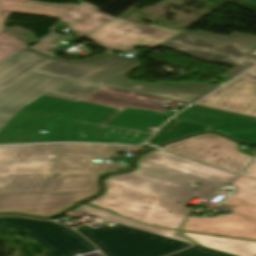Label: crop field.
Returning <instances> with one entry per match:
<instances>
[{
	"instance_id": "8a807250",
	"label": "crop field",
	"mask_w": 256,
	"mask_h": 256,
	"mask_svg": "<svg viewBox=\"0 0 256 256\" xmlns=\"http://www.w3.org/2000/svg\"><path fill=\"white\" fill-rule=\"evenodd\" d=\"M65 115L20 109L0 131V144L77 141L140 144L173 114L165 99L105 86ZM48 130L47 134L39 133Z\"/></svg>"
},
{
	"instance_id": "ac0d7876",
	"label": "crop field",
	"mask_w": 256,
	"mask_h": 256,
	"mask_svg": "<svg viewBox=\"0 0 256 256\" xmlns=\"http://www.w3.org/2000/svg\"><path fill=\"white\" fill-rule=\"evenodd\" d=\"M234 177L157 150L141 157L134 172L107 178V192L90 204L143 223L178 229L191 209L186 208L188 201L195 197L205 199ZM195 182L202 186L195 185Z\"/></svg>"
},
{
	"instance_id": "34b2d1b8",
	"label": "crop field",
	"mask_w": 256,
	"mask_h": 256,
	"mask_svg": "<svg viewBox=\"0 0 256 256\" xmlns=\"http://www.w3.org/2000/svg\"><path fill=\"white\" fill-rule=\"evenodd\" d=\"M137 66V61L113 52L65 61L26 47L0 64V130L43 94L78 102L118 71Z\"/></svg>"
},
{
	"instance_id": "412701ff",
	"label": "crop field",
	"mask_w": 256,
	"mask_h": 256,
	"mask_svg": "<svg viewBox=\"0 0 256 256\" xmlns=\"http://www.w3.org/2000/svg\"><path fill=\"white\" fill-rule=\"evenodd\" d=\"M65 146H0V193L48 191Z\"/></svg>"
},
{
	"instance_id": "f4fd0767",
	"label": "crop field",
	"mask_w": 256,
	"mask_h": 256,
	"mask_svg": "<svg viewBox=\"0 0 256 256\" xmlns=\"http://www.w3.org/2000/svg\"><path fill=\"white\" fill-rule=\"evenodd\" d=\"M98 176L61 174L49 192L0 194V212L55 215L84 197L97 194Z\"/></svg>"
},
{
	"instance_id": "dd49c442",
	"label": "crop field",
	"mask_w": 256,
	"mask_h": 256,
	"mask_svg": "<svg viewBox=\"0 0 256 256\" xmlns=\"http://www.w3.org/2000/svg\"><path fill=\"white\" fill-rule=\"evenodd\" d=\"M163 46L205 62L236 66L222 75V78H233L256 64V58L247 56L256 50V36L251 35L232 33L229 37H223L202 32H184Z\"/></svg>"
},
{
	"instance_id": "e52e79f7",
	"label": "crop field",
	"mask_w": 256,
	"mask_h": 256,
	"mask_svg": "<svg viewBox=\"0 0 256 256\" xmlns=\"http://www.w3.org/2000/svg\"><path fill=\"white\" fill-rule=\"evenodd\" d=\"M107 256H163L190 244L123 225L109 228H76Z\"/></svg>"
},
{
	"instance_id": "d8731c3e",
	"label": "crop field",
	"mask_w": 256,
	"mask_h": 256,
	"mask_svg": "<svg viewBox=\"0 0 256 256\" xmlns=\"http://www.w3.org/2000/svg\"><path fill=\"white\" fill-rule=\"evenodd\" d=\"M175 119L205 126L177 125L174 127L175 125L166 124L149 143L157 145L197 131L209 130V126H212V130L222 131L243 143H256V118L194 105Z\"/></svg>"
},
{
	"instance_id": "5a996713",
	"label": "crop field",
	"mask_w": 256,
	"mask_h": 256,
	"mask_svg": "<svg viewBox=\"0 0 256 256\" xmlns=\"http://www.w3.org/2000/svg\"><path fill=\"white\" fill-rule=\"evenodd\" d=\"M0 225L18 230L44 247L47 251L40 256H75L96 249L89 241L74 230L50 221L18 217H2Z\"/></svg>"
},
{
	"instance_id": "3316defc",
	"label": "crop field",
	"mask_w": 256,
	"mask_h": 256,
	"mask_svg": "<svg viewBox=\"0 0 256 256\" xmlns=\"http://www.w3.org/2000/svg\"><path fill=\"white\" fill-rule=\"evenodd\" d=\"M180 31L115 18L87 38L111 50L128 52L136 46L156 47Z\"/></svg>"
},
{
	"instance_id": "28ad6ade",
	"label": "crop field",
	"mask_w": 256,
	"mask_h": 256,
	"mask_svg": "<svg viewBox=\"0 0 256 256\" xmlns=\"http://www.w3.org/2000/svg\"><path fill=\"white\" fill-rule=\"evenodd\" d=\"M236 146V143L226 138L202 134L162 148L240 174L252 157L238 152Z\"/></svg>"
},
{
	"instance_id": "d1516ede",
	"label": "crop field",
	"mask_w": 256,
	"mask_h": 256,
	"mask_svg": "<svg viewBox=\"0 0 256 256\" xmlns=\"http://www.w3.org/2000/svg\"><path fill=\"white\" fill-rule=\"evenodd\" d=\"M219 202L232 211L230 215L189 216L181 230L256 240V206L227 196Z\"/></svg>"
},
{
	"instance_id": "22f410ed",
	"label": "crop field",
	"mask_w": 256,
	"mask_h": 256,
	"mask_svg": "<svg viewBox=\"0 0 256 256\" xmlns=\"http://www.w3.org/2000/svg\"><path fill=\"white\" fill-rule=\"evenodd\" d=\"M197 105L256 117V70L252 69Z\"/></svg>"
},
{
	"instance_id": "cbeb9de0",
	"label": "crop field",
	"mask_w": 256,
	"mask_h": 256,
	"mask_svg": "<svg viewBox=\"0 0 256 256\" xmlns=\"http://www.w3.org/2000/svg\"><path fill=\"white\" fill-rule=\"evenodd\" d=\"M130 70L129 68L124 69L103 84L184 102H195L218 88V86L200 83L171 84L158 82L151 85L143 82H131L124 78Z\"/></svg>"
},
{
	"instance_id": "5142ce71",
	"label": "crop field",
	"mask_w": 256,
	"mask_h": 256,
	"mask_svg": "<svg viewBox=\"0 0 256 256\" xmlns=\"http://www.w3.org/2000/svg\"><path fill=\"white\" fill-rule=\"evenodd\" d=\"M78 6L46 4L30 0H0V31L11 13L62 18Z\"/></svg>"
},
{
	"instance_id": "d9b57169",
	"label": "crop field",
	"mask_w": 256,
	"mask_h": 256,
	"mask_svg": "<svg viewBox=\"0 0 256 256\" xmlns=\"http://www.w3.org/2000/svg\"><path fill=\"white\" fill-rule=\"evenodd\" d=\"M198 244L236 256H256V242L181 232Z\"/></svg>"
},
{
	"instance_id": "733c2abd",
	"label": "crop field",
	"mask_w": 256,
	"mask_h": 256,
	"mask_svg": "<svg viewBox=\"0 0 256 256\" xmlns=\"http://www.w3.org/2000/svg\"><path fill=\"white\" fill-rule=\"evenodd\" d=\"M75 212L84 213V214H87V215H91V216H94V217L106 219V220H109V221H112V222L120 223V224H123V225H127V226H130V227L141 229V230H144V231L160 234V235H163V236H166V237H169V238H173V239H176V240H180V241H183V242L191 243V242L187 241L186 239L178 236L176 231L169 230V229L154 228V227L142 224V223H138V222H135V221L119 218V217L115 216L112 212L95 209L91 206L83 205V206L79 207L78 209H76Z\"/></svg>"
},
{
	"instance_id": "4a817a6b",
	"label": "crop field",
	"mask_w": 256,
	"mask_h": 256,
	"mask_svg": "<svg viewBox=\"0 0 256 256\" xmlns=\"http://www.w3.org/2000/svg\"><path fill=\"white\" fill-rule=\"evenodd\" d=\"M124 168L116 163H104L103 160L102 163H92V160L64 159L57 173L101 174Z\"/></svg>"
},
{
	"instance_id": "bc2a9ffb",
	"label": "crop field",
	"mask_w": 256,
	"mask_h": 256,
	"mask_svg": "<svg viewBox=\"0 0 256 256\" xmlns=\"http://www.w3.org/2000/svg\"><path fill=\"white\" fill-rule=\"evenodd\" d=\"M131 147L69 144L64 157L108 159L113 152Z\"/></svg>"
},
{
	"instance_id": "214f88e0",
	"label": "crop field",
	"mask_w": 256,
	"mask_h": 256,
	"mask_svg": "<svg viewBox=\"0 0 256 256\" xmlns=\"http://www.w3.org/2000/svg\"><path fill=\"white\" fill-rule=\"evenodd\" d=\"M98 9L99 8L96 7L92 8L77 19L70 22L68 27L82 35L87 36L114 18L98 12Z\"/></svg>"
},
{
	"instance_id": "92a150f3",
	"label": "crop field",
	"mask_w": 256,
	"mask_h": 256,
	"mask_svg": "<svg viewBox=\"0 0 256 256\" xmlns=\"http://www.w3.org/2000/svg\"><path fill=\"white\" fill-rule=\"evenodd\" d=\"M231 184L239 187L234 193H219L256 205V181L241 176Z\"/></svg>"
},
{
	"instance_id": "dafd665d",
	"label": "crop field",
	"mask_w": 256,
	"mask_h": 256,
	"mask_svg": "<svg viewBox=\"0 0 256 256\" xmlns=\"http://www.w3.org/2000/svg\"><path fill=\"white\" fill-rule=\"evenodd\" d=\"M3 45H5L7 47L5 49L1 48ZM22 46H24V45H22L15 39L11 38L4 32H2V31L0 32V60L7 57L8 55L13 53L17 49L21 48Z\"/></svg>"
},
{
	"instance_id": "00972430",
	"label": "crop field",
	"mask_w": 256,
	"mask_h": 256,
	"mask_svg": "<svg viewBox=\"0 0 256 256\" xmlns=\"http://www.w3.org/2000/svg\"><path fill=\"white\" fill-rule=\"evenodd\" d=\"M170 256H232L218 251L202 248L199 246L175 253Z\"/></svg>"
},
{
	"instance_id": "a9b5d70f",
	"label": "crop field",
	"mask_w": 256,
	"mask_h": 256,
	"mask_svg": "<svg viewBox=\"0 0 256 256\" xmlns=\"http://www.w3.org/2000/svg\"><path fill=\"white\" fill-rule=\"evenodd\" d=\"M59 36H60V35H57V36H48V37H46L45 39H43V40L41 41V43L35 44L32 48L37 49V50H39V51H41V52H44V53H46V54H49V55L54 56L53 54L47 52V50L54 46V45H51L50 43H51L52 41H54L56 38H58Z\"/></svg>"
},
{
	"instance_id": "4177f3b9",
	"label": "crop field",
	"mask_w": 256,
	"mask_h": 256,
	"mask_svg": "<svg viewBox=\"0 0 256 256\" xmlns=\"http://www.w3.org/2000/svg\"><path fill=\"white\" fill-rule=\"evenodd\" d=\"M92 5L85 3L84 6L80 7L79 9L75 10L74 12H72L70 15H68L67 17H65L64 19H62L63 21H67L70 22L73 19L77 18L78 16H80L81 14H83L84 12H86L87 10L91 9Z\"/></svg>"
},
{
	"instance_id": "730fd06b",
	"label": "crop field",
	"mask_w": 256,
	"mask_h": 256,
	"mask_svg": "<svg viewBox=\"0 0 256 256\" xmlns=\"http://www.w3.org/2000/svg\"><path fill=\"white\" fill-rule=\"evenodd\" d=\"M243 176H246V177L256 180V158L251 163V165L248 167V169L244 172Z\"/></svg>"
},
{
	"instance_id": "eef30255",
	"label": "crop field",
	"mask_w": 256,
	"mask_h": 256,
	"mask_svg": "<svg viewBox=\"0 0 256 256\" xmlns=\"http://www.w3.org/2000/svg\"><path fill=\"white\" fill-rule=\"evenodd\" d=\"M145 146L143 147H134L133 149H131L129 152L136 154L137 152H139L141 149H143Z\"/></svg>"
},
{
	"instance_id": "ae1a2a85",
	"label": "crop field",
	"mask_w": 256,
	"mask_h": 256,
	"mask_svg": "<svg viewBox=\"0 0 256 256\" xmlns=\"http://www.w3.org/2000/svg\"><path fill=\"white\" fill-rule=\"evenodd\" d=\"M249 2H251L252 4L256 5V0H248Z\"/></svg>"
},
{
	"instance_id": "d3111659",
	"label": "crop field",
	"mask_w": 256,
	"mask_h": 256,
	"mask_svg": "<svg viewBox=\"0 0 256 256\" xmlns=\"http://www.w3.org/2000/svg\"><path fill=\"white\" fill-rule=\"evenodd\" d=\"M216 194H218V193H216ZM216 194H214L213 196H215ZM213 196H212V197H213ZM212 197H210L209 199H211ZM209 199H208V200H209Z\"/></svg>"
}]
</instances>
